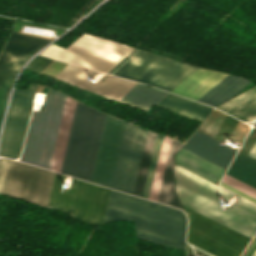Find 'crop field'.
<instances>
[{
	"instance_id": "obj_1",
	"label": "crop field",
	"mask_w": 256,
	"mask_h": 256,
	"mask_svg": "<svg viewBox=\"0 0 256 256\" xmlns=\"http://www.w3.org/2000/svg\"><path fill=\"white\" fill-rule=\"evenodd\" d=\"M175 178L181 204L252 239L256 232V204L240 197L226 208L223 204L233 195L176 164Z\"/></svg>"
},
{
	"instance_id": "obj_2",
	"label": "crop field",
	"mask_w": 256,
	"mask_h": 256,
	"mask_svg": "<svg viewBox=\"0 0 256 256\" xmlns=\"http://www.w3.org/2000/svg\"><path fill=\"white\" fill-rule=\"evenodd\" d=\"M114 220H135L137 238L185 250L186 218L180 210L111 190L104 223Z\"/></svg>"
},
{
	"instance_id": "obj_3",
	"label": "crop field",
	"mask_w": 256,
	"mask_h": 256,
	"mask_svg": "<svg viewBox=\"0 0 256 256\" xmlns=\"http://www.w3.org/2000/svg\"><path fill=\"white\" fill-rule=\"evenodd\" d=\"M106 115L78 102L61 174L91 180Z\"/></svg>"
},
{
	"instance_id": "obj_4",
	"label": "crop field",
	"mask_w": 256,
	"mask_h": 256,
	"mask_svg": "<svg viewBox=\"0 0 256 256\" xmlns=\"http://www.w3.org/2000/svg\"><path fill=\"white\" fill-rule=\"evenodd\" d=\"M65 177L56 173L48 207L69 212L83 222L102 225L110 190L75 179L65 190Z\"/></svg>"
},
{
	"instance_id": "obj_5",
	"label": "crop field",
	"mask_w": 256,
	"mask_h": 256,
	"mask_svg": "<svg viewBox=\"0 0 256 256\" xmlns=\"http://www.w3.org/2000/svg\"><path fill=\"white\" fill-rule=\"evenodd\" d=\"M54 175V172L1 158L0 194L47 207Z\"/></svg>"
},
{
	"instance_id": "obj_6",
	"label": "crop field",
	"mask_w": 256,
	"mask_h": 256,
	"mask_svg": "<svg viewBox=\"0 0 256 256\" xmlns=\"http://www.w3.org/2000/svg\"><path fill=\"white\" fill-rule=\"evenodd\" d=\"M133 48L84 34L68 48L52 45L43 55L105 72Z\"/></svg>"
},
{
	"instance_id": "obj_7",
	"label": "crop field",
	"mask_w": 256,
	"mask_h": 256,
	"mask_svg": "<svg viewBox=\"0 0 256 256\" xmlns=\"http://www.w3.org/2000/svg\"><path fill=\"white\" fill-rule=\"evenodd\" d=\"M183 208L189 219L187 242L214 256H240L251 240L185 206Z\"/></svg>"
},
{
	"instance_id": "obj_8",
	"label": "crop field",
	"mask_w": 256,
	"mask_h": 256,
	"mask_svg": "<svg viewBox=\"0 0 256 256\" xmlns=\"http://www.w3.org/2000/svg\"><path fill=\"white\" fill-rule=\"evenodd\" d=\"M52 40L11 32L0 57V125L15 77L26 60Z\"/></svg>"
},
{
	"instance_id": "obj_9",
	"label": "crop field",
	"mask_w": 256,
	"mask_h": 256,
	"mask_svg": "<svg viewBox=\"0 0 256 256\" xmlns=\"http://www.w3.org/2000/svg\"><path fill=\"white\" fill-rule=\"evenodd\" d=\"M36 86L14 89L1 135L0 154L19 157Z\"/></svg>"
},
{
	"instance_id": "obj_10",
	"label": "crop field",
	"mask_w": 256,
	"mask_h": 256,
	"mask_svg": "<svg viewBox=\"0 0 256 256\" xmlns=\"http://www.w3.org/2000/svg\"><path fill=\"white\" fill-rule=\"evenodd\" d=\"M147 130L127 124L112 189L133 192Z\"/></svg>"
},
{
	"instance_id": "obj_11",
	"label": "crop field",
	"mask_w": 256,
	"mask_h": 256,
	"mask_svg": "<svg viewBox=\"0 0 256 256\" xmlns=\"http://www.w3.org/2000/svg\"><path fill=\"white\" fill-rule=\"evenodd\" d=\"M126 124L107 115L92 183L111 187Z\"/></svg>"
},
{
	"instance_id": "obj_12",
	"label": "crop field",
	"mask_w": 256,
	"mask_h": 256,
	"mask_svg": "<svg viewBox=\"0 0 256 256\" xmlns=\"http://www.w3.org/2000/svg\"><path fill=\"white\" fill-rule=\"evenodd\" d=\"M97 72L68 64L56 80L83 87L91 92L118 102L135 84L129 80L105 74L96 84L90 79Z\"/></svg>"
},
{
	"instance_id": "obj_13",
	"label": "crop field",
	"mask_w": 256,
	"mask_h": 256,
	"mask_svg": "<svg viewBox=\"0 0 256 256\" xmlns=\"http://www.w3.org/2000/svg\"><path fill=\"white\" fill-rule=\"evenodd\" d=\"M226 170L236 150L196 131L182 147Z\"/></svg>"
},
{
	"instance_id": "obj_14",
	"label": "crop field",
	"mask_w": 256,
	"mask_h": 256,
	"mask_svg": "<svg viewBox=\"0 0 256 256\" xmlns=\"http://www.w3.org/2000/svg\"><path fill=\"white\" fill-rule=\"evenodd\" d=\"M196 69L198 67L170 58L142 83L170 92Z\"/></svg>"
},
{
	"instance_id": "obj_15",
	"label": "crop field",
	"mask_w": 256,
	"mask_h": 256,
	"mask_svg": "<svg viewBox=\"0 0 256 256\" xmlns=\"http://www.w3.org/2000/svg\"><path fill=\"white\" fill-rule=\"evenodd\" d=\"M167 59L169 57L141 50L113 75L141 82Z\"/></svg>"
},
{
	"instance_id": "obj_16",
	"label": "crop field",
	"mask_w": 256,
	"mask_h": 256,
	"mask_svg": "<svg viewBox=\"0 0 256 256\" xmlns=\"http://www.w3.org/2000/svg\"><path fill=\"white\" fill-rule=\"evenodd\" d=\"M226 75L228 74L199 68L171 93L197 100Z\"/></svg>"
},
{
	"instance_id": "obj_17",
	"label": "crop field",
	"mask_w": 256,
	"mask_h": 256,
	"mask_svg": "<svg viewBox=\"0 0 256 256\" xmlns=\"http://www.w3.org/2000/svg\"><path fill=\"white\" fill-rule=\"evenodd\" d=\"M250 82L248 79L229 74L197 101L215 107L234 96Z\"/></svg>"
},
{
	"instance_id": "obj_18",
	"label": "crop field",
	"mask_w": 256,
	"mask_h": 256,
	"mask_svg": "<svg viewBox=\"0 0 256 256\" xmlns=\"http://www.w3.org/2000/svg\"><path fill=\"white\" fill-rule=\"evenodd\" d=\"M255 100L256 86L217 108L238 119L249 121L256 118Z\"/></svg>"
},
{
	"instance_id": "obj_19",
	"label": "crop field",
	"mask_w": 256,
	"mask_h": 256,
	"mask_svg": "<svg viewBox=\"0 0 256 256\" xmlns=\"http://www.w3.org/2000/svg\"><path fill=\"white\" fill-rule=\"evenodd\" d=\"M158 106L170 111H174L201 122L211 112L212 108L197 102L187 100L178 96L169 94Z\"/></svg>"
},
{
	"instance_id": "obj_20",
	"label": "crop field",
	"mask_w": 256,
	"mask_h": 256,
	"mask_svg": "<svg viewBox=\"0 0 256 256\" xmlns=\"http://www.w3.org/2000/svg\"><path fill=\"white\" fill-rule=\"evenodd\" d=\"M167 95V92L137 84L119 101V103L130 105L148 112L153 104L156 106Z\"/></svg>"
},
{
	"instance_id": "obj_21",
	"label": "crop field",
	"mask_w": 256,
	"mask_h": 256,
	"mask_svg": "<svg viewBox=\"0 0 256 256\" xmlns=\"http://www.w3.org/2000/svg\"><path fill=\"white\" fill-rule=\"evenodd\" d=\"M183 145V143L173 141L171 142L165 171L158 195V202H162L168 205H172L182 209L180 202L174 192V173H173V155L178 151V149Z\"/></svg>"
},
{
	"instance_id": "obj_22",
	"label": "crop field",
	"mask_w": 256,
	"mask_h": 256,
	"mask_svg": "<svg viewBox=\"0 0 256 256\" xmlns=\"http://www.w3.org/2000/svg\"><path fill=\"white\" fill-rule=\"evenodd\" d=\"M175 162L216 183L223 172V169L182 148L175 155Z\"/></svg>"
},
{
	"instance_id": "obj_23",
	"label": "crop field",
	"mask_w": 256,
	"mask_h": 256,
	"mask_svg": "<svg viewBox=\"0 0 256 256\" xmlns=\"http://www.w3.org/2000/svg\"><path fill=\"white\" fill-rule=\"evenodd\" d=\"M76 103L77 101L73 100L72 98L70 97L67 98L59 134L57 137V141H56V145H55V149H54V153H53V157H52V161L49 169L51 171L58 172V173L60 171L65 143H66V139H67V135L70 128Z\"/></svg>"
},
{
	"instance_id": "obj_24",
	"label": "crop field",
	"mask_w": 256,
	"mask_h": 256,
	"mask_svg": "<svg viewBox=\"0 0 256 256\" xmlns=\"http://www.w3.org/2000/svg\"><path fill=\"white\" fill-rule=\"evenodd\" d=\"M226 174L256 188V160L240 152Z\"/></svg>"
},
{
	"instance_id": "obj_25",
	"label": "crop field",
	"mask_w": 256,
	"mask_h": 256,
	"mask_svg": "<svg viewBox=\"0 0 256 256\" xmlns=\"http://www.w3.org/2000/svg\"><path fill=\"white\" fill-rule=\"evenodd\" d=\"M155 133L149 132L147 133L145 145H144V150L141 158V163L137 175V180L134 188V195L140 196L142 195L144 183H145V178L148 170V165L152 153V148L155 140Z\"/></svg>"
},
{
	"instance_id": "obj_26",
	"label": "crop field",
	"mask_w": 256,
	"mask_h": 256,
	"mask_svg": "<svg viewBox=\"0 0 256 256\" xmlns=\"http://www.w3.org/2000/svg\"><path fill=\"white\" fill-rule=\"evenodd\" d=\"M171 140L162 138L148 199L156 201Z\"/></svg>"
},
{
	"instance_id": "obj_27",
	"label": "crop field",
	"mask_w": 256,
	"mask_h": 256,
	"mask_svg": "<svg viewBox=\"0 0 256 256\" xmlns=\"http://www.w3.org/2000/svg\"><path fill=\"white\" fill-rule=\"evenodd\" d=\"M161 138H162V136L157 134L151 161H150V166H149V170H148V174H147V178H146V183H145V187H144V191H143V195H142V197L146 198V199L148 197V193H149V189H150V185H151V180H152V176H153V172H154V167H155V163H156V159H157V155H158Z\"/></svg>"
},
{
	"instance_id": "obj_28",
	"label": "crop field",
	"mask_w": 256,
	"mask_h": 256,
	"mask_svg": "<svg viewBox=\"0 0 256 256\" xmlns=\"http://www.w3.org/2000/svg\"><path fill=\"white\" fill-rule=\"evenodd\" d=\"M222 182L256 198V189L228 176L225 174L224 178L222 179Z\"/></svg>"
},
{
	"instance_id": "obj_29",
	"label": "crop field",
	"mask_w": 256,
	"mask_h": 256,
	"mask_svg": "<svg viewBox=\"0 0 256 256\" xmlns=\"http://www.w3.org/2000/svg\"><path fill=\"white\" fill-rule=\"evenodd\" d=\"M52 61V59L37 56L28 64L26 69L40 74Z\"/></svg>"
},
{
	"instance_id": "obj_30",
	"label": "crop field",
	"mask_w": 256,
	"mask_h": 256,
	"mask_svg": "<svg viewBox=\"0 0 256 256\" xmlns=\"http://www.w3.org/2000/svg\"><path fill=\"white\" fill-rule=\"evenodd\" d=\"M220 185L256 203L255 199H253V198H251V197H249V196H247V195H245V194H243V193H241V192H239V191H237V190H235V189H233V188H231V187H229V186H227L223 183H220Z\"/></svg>"
},
{
	"instance_id": "obj_31",
	"label": "crop field",
	"mask_w": 256,
	"mask_h": 256,
	"mask_svg": "<svg viewBox=\"0 0 256 256\" xmlns=\"http://www.w3.org/2000/svg\"><path fill=\"white\" fill-rule=\"evenodd\" d=\"M256 243V237L254 238V240L251 242V244L249 245V247L246 249V251L244 252V254L242 256H247V254L249 253V251L251 250V248L253 247V245Z\"/></svg>"
},
{
	"instance_id": "obj_32",
	"label": "crop field",
	"mask_w": 256,
	"mask_h": 256,
	"mask_svg": "<svg viewBox=\"0 0 256 256\" xmlns=\"http://www.w3.org/2000/svg\"><path fill=\"white\" fill-rule=\"evenodd\" d=\"M249 155H251V156L256 158V142L253 145L252 149L250 150Z\"/></svg>"
},
{
	"instance_id": "obj_33",
	"label": "crop field",
	"mask_w": 256,
	"mask_h": 256,
	"mask_svg": "<svg viewBox=\"0 0 256 256\" xmlns=\"http://www.w3.org/2000/svg\"><path fill=\"white\" fill-rule=\"evenodd\" d=\"M253 256H256V251H255V253L253 254Z\"/></svg>"
},
{
	"instance_id": "obj_34",
	"label": "crop field",
	"mask_w": 256,
	"mask_h": 256,
	"mask_svg": "<svg viewBox=\"0 0 256 256\" xmlns=\"http://www.w3.org/2000/svg\"><path fill=\"white\" fill-rule=\"evenodd\" d=\"M254 127H256V123H255Z\"/></svg>"
}]
</instances>
